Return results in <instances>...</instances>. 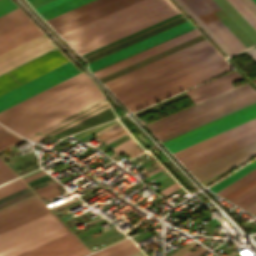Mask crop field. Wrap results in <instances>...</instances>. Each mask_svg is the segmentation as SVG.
<instances>
[{"label": "crop field", "mask_w": 256, "mask_h": 256, "mask_svg": "<svg viewBox=\"0 0 256 256\" xmlns=\"http://www.w3.org/2000/svg\"><path fill=\"white\" fill-rule=\"evenodd\" d=\"M89 253L71 233L19 256H83Z\"/></svg>", "instance_id": "crop-field-14"}, {"label": "crop field", "mask_w": 256, "mask_h": 256, "mask_svg": "<svg viewBox=\"0 0 256 256\" xmlns=\"http://www.w3.org/2000/svg\"><path fill=\"white\" fill-rule=\"evenodd\" d=\"M239 14L256 30V17L239 1L227 0Z\"/></svg>", "instance_id": "crop-field-33"}, {"label": "crop field", "mask_w": 256, "mask_h": 256, "mask_svg": "<svg viewBox=\"0 0 256 256\" xmlns=\"http://www.w3.org/2000/svg\"><path fill=\"white\" fill-rule=\"evenodd\" d=\"M255 101L256 91L247 83L147 123L145 126L163 142Z\"/></svg>", "instance_id": "crop-field-3"}, {"label": "crop field", "mask_w": 256, "mask_h": 256, "mask_svg": "<svg viewBox=\"0 0 256 256\" xmlns=\"http://www.w3.org/2000/svg\"><path fill=\"white\" fill-rule=\"evenodd\" d=\"M77 73L79 71L68 62L21 85L0 96V111ZM58 85L81 109L104 98L92 81L82 72ZM58 85L1 111L0 123L7 126L67 96ZM76 104L69 97H66L8 127L25 138H28L35 132L81 110Z\"/></svg>", "instance_id": "crop-field-1"}, {"label": "crop field", "mask_w": 256, "mask_h": 256, "mask_svg": "<svg viewBox=\"0 0 256 256\" xmlns=\"http://www.w3.org/2000/svg\"><path fill=\"white\" fill-rule=\"evenodd\" d=\"M55 48L43 34L0 55V75Z\"/></svg>", "instance_id": "crop-field-11"}, {"label": "crop field", "mask_w": 256, "mask_h": 256, "mask_svg": "<svg viewBox=\"0 0 256 256\" xmlns=\"http://www.w3.org/2000/svg\"><path fill=\"white\" fill-rule=\"evenodd\" d=\"M167 175H169V174L166 172V173H164V174H162V175H160V176L154 178V179L151 180V181H153V182L155 183L156 181L162 179L163 177H165V176H167ZM163 179H164V178H163Z\"/></svg>", "instance_id": "crop-field-51"}, {"label": "crop field", "mask_w": 256, "mask_h": 256, "mask_svg": "<svg viewBox=\"0 0 256 256\" xmlns=\"http://www.w3.org/2000/svg\"><path fill=\"white\" fill-rule=\"evenodd\" d=\"M246 52L256 61V48H250Z\"/></svg>", "instance_id": "crop-field-49"}, {"label": "crop field", "mask_w": 256, "mask_h": 256, "mask_svg": "<svg viewBox=\"0 0 256 256\" xmlns=\"http://www.w3.org/2000/svg\"><path fill=\"white\" fill-rule=\"evenodd\" d=\"M175 1L227 55H231V53L223 46V44L206 28V26L189 10V8L181 0Z\"/></svg>", "instance_id": "crop-field-31"}, {"label": "crop field", "mask_w": 256, "mask_h": 256, "mask_svg": "<svg viewBox=\"0 0 256 256\" xmlns=\"http://www.w3.org/2000/svg\"><path fill=\"white\" fill-rule=\"evenodd\" d=\"M24 141L21 137L2 127L0 128V151Z\"/></svg>", "instance_id": "crop-field-30"}, {"label": "crop field", "mask_w": 256, "mask_h": 256, "mask_svg": "<svg viewBox=\"0 0 256 256\" xmlns=\"http://www.w3.org/2000/svg\"><path fill=\"white\" fill-rule=\"evenodd\" d=\"M29 20L30 19L18 8L1 16L0 35Z\"/></svg>", "instance_id": "crop-field-26"}, {"label": "crop field", "mask_w": 256, "mask_h": 256, "mask_svg": "<svg viewBox=\"0 0 256 256\" xmlns=\"http://www.w3.org/2000/svg\"><path fill=\"white\" fill-rule=\"evenodd\" d=\"M254 141H256V134H254V135H252L250 137H247V138H245L243 140H240L238 142H235V143H233L231 145H228V146H226L224 148H221V149H219L217 151H214V152H212L210 154H207V155H205L203 157L195 159V160H193L191 162H188V163L184 164V166L188 170H190V169H192L194 167H197V166H199V165H201L203 163H206V162H208L210 160H213V159H215V158H217L219 156H222V155H224L226 153H229V152H231L233 150H236V149H238V148H240L242 146H245V145H247L249 143H252Z\"/></svg>", "instance_id": "crop-field-22"}, {"label": "crop field", "mask_w": 256, "mask_h": 256, "mask_svg": "<svg viewBox=\"0 0 256 256\" xmlns=\"http://www.w3.org/2000/svg\"><path fill=\"white\" fill-rule=\"evenodd\" d=\"M0 127H2V126H0Z\"/></svg>", "instance_id": "crop-field-56"}, {"label": "crop field", "mask_w": 256, "mask_h": 256, "mask_svg": "<svg viewBox=\"0 0 256 256\" xmlns=\"http://www.w3.org/2000/svg\"><path fill=\"white\" fill-rule=\"evenodd\" d=\"M134 142H136V141L132 138V139H130V140L124 142L123 144H121V145H119V146H117V147H115V148H113V149H111V150L116 153V152H118L119 150H121V149L127 147L128 145H130V144H132V143H134Z\"/></svg>", "instance_id": "crop-field-44"}, {"label": "crop field", "mask_w": 256, "mask_h": 256, "mask_svg": "<svg viewBox=\"0 0 256 256\" xmlns=\"http://www.w3.org/2000/svg\"><path fill=\"white\" fill-rule=\"evenodd\" d=\"M222 10L246 33V35L256 44V32L237 13V11L226 0H214Z\"/></svg>", "instance_id": "crop-field-25"}, {"label": "crop field", "mask_w": 256, "mask_h": 256, "mask_svg": "<svg viewBox=\"0 0 256 256\" xmlns=\"http://www.w3.org/2000/svg\"><path fill=\"white\" fill-rule=\"evenodd\" d=\"M89 1H91V0H69V1H67V2H65L63 4H60V5L56 6V7H53L51 9L47 10V11H44V12L40 13V15L45 20H47V19H49L51 17H54V16H56L58 14H61V13L65 12V11L73 9V8H75L77 6H80V5L84 4V3H87Z\"/></svg>", "instance_id": "crop-field-28"}, {"label": "crop field", "mask_w": 256, "mask_h": 256, "mask_svg": "<svg viewBox=\"0 0 256 256\" xmlns=\"http://www.w3.org/2000/svg\"><path fill=\"white\" fill-rule=\"evenodd\" d=\"M37 201H39V199H37V200H35L33 202H30V203H28V204H26L24 206H21V207H19L17 209H14V210H12L10 212H7V213L1 215L0 217H2L4 215H7V214H9L11 212H14V211H16L18 209H21V208H23L25 206H28V205H30L32 203H35ZM44 208H46V206L41 201H39V202H37L35 204H32V205H30L28 207H25V208L21 209V210H18V211L14 212V213H11V214L7 215V216H4V217L0 218V227H3L5 225H7V224H10V223H12V222H14L16 220H19V219H21L23 217H26V216H28L30 214H33V213H35V212H37L39 210L44 209Z\"/></svg>", "instance_id": "crop-field-24"}, {"label": "crop field", "mask_w": 256, "mask_h": 256, "mask_svg": "<svg viewBox=\"0 0 256 256\" xmlns=\"http://www.w3.org/2000/svg\"><path fill=\"white\" fill-rule=\"evenodd\" d=\"M189 24L190 23L186 21L182 24H179L175 27H172L147 39L137 42L131 46H128L124 49H121L117 52H114L110 55L93 61L88 64L90 71L193 28V26L191 24L189 26Z\"/></svg>", "instance_id": "crop-field-13"}, {"label": "crop field", "mask_w": 256, "mask_h": 256, "mask_svg": "<svg viewBox=\"0 0 256 256\" xmlns=\"http://www.w3.org/2000/svg\"><path fill=\"white\" fill-rule=\"evenodd\" d=\"M42 34L31 22H27L0 36V54Z\"/></svg>", "instance_id": "crop-field-18"}, {"label": "crop field", "mask_w": 256, "mask_h": 256, "mask_svg": "<svg viewBox=\"0 0 256 256\" xmlns=\"http://www.w3.org/2000/svg\"><path fill=\"white\" fill-rule=\"evenodd\" d=\"M3 166H5V164L0 159V168ZM14 177H16V175L7 166L0 169V183L5 182Z\"/></svg>", "instance_id": "crop-field-34"}, {"label": "crop field", "mask_w": 256, "mask_h": 256, "mask_svg": "<svg viewBox=\"0 0 256 256\" xmlns=\"http://www.w3.org/2000/svg\"><path fill=\"white\" fill-rule=\"evenodd\" d=\"M253 131H256V126L255 127H253V128H251V129H248V130H246V131H244V132H241V133H239V134H237V135H234V136H232V137H230V138H227V139H225V140H223V141H220V142H218V143H216V144H213V145H211V146H209V147H206V148H204V149H202V150H200V151H197V152H195V153H193V154H190V155H188V156H186V157H183V158H181V159H179V161L181 162V163H183V162H185V161H187V160H189V159H192V158H194V157H196V156H199V155H201V154H203V153H205V152H208V151H210V150H212V149H215V148H217V147H219V146H221V145H224V144H226V143H228V142H231V141H233V140H235V139H237V138H240V137H242V136H244V135H247V134H249V133H251V132H253ZM254 133H256V132H254ZM251 134H253V133H251ZM251 134H249V135H251ZM249 135H247V136H249ZM244 137H246V136H244ZM244 137H242V138H244ZM242 138H240V139H242ZM239 140V139H238ZM235 141H237V140H235ZM235 141H233V142H235ZM232 143V142H231ZM228 144H230V143H228ZM228 144H226V145H228ZM225 146V145H224ZM223 147V146H222ZM219 148H221V147H219ZM218 149V148H217ZM216 150V149H215ZM212 151H214V150H212ZM211 152V151H210ZM209 153V152H208ZM207 154V153H206ZM203 155H205V154H203ZM202 156V155H201ZM200 157V156H199ZM196 158H198V157H196ZM195 159V158H194ZM193 160V159H192ZM191 161V160H190ZM188 162V161H187ZM186 163V162H185ZM184 164V163H183Z\"/></svg>", "instance_id": "crop-field-27"}, {"label": "crop field", "mask_w": 256, "mask_h": 256, "mask_svg": "<svg viewBox=\"0 0 256 256\" xmlns=\"http://www.w3.org/2000/svg\"><path fill=\"white\" fill-rule=\"evenodd\" d=\"M255 191H256V185L251 187L250 189H248L244 193L240 194L236 198L232 199L230 202L235 204V203L239 202L240 200H242L243 198L247 197L248 195H250L251 193H253Z\"/></svg>", "instance_id": "crop-field-42"}, {"label": "crop field", "mask_w": 256, "mask_h": 256, "mask_svg": "<svg viewBox=\"0 0 256 256\" xmlns=\"http://www.w3.org/2000/svg\"><path fill=\"white\" fill-rule=\"evenodd\" d=\"M77 200H79L77 197H75V198H73V199H71V200H68V201H66V202H63V203H61V204H59V205H56V206H54V207H52V209H53V211H55V210H57V209H59V208H61V207H64V206H66V205H68V204H70V203H73V202H75V201H77Z\"/></svg>", "instance_id": "crop-field-47"}, {"label": "crop field", "mask_w": 256, "mask_h": 256, "mask_svg": "<svg viewBox=\"0 0 256 256\" xmlns=\"http://www.w3.org/2000/svg\"><path fill=\"white\" fill-rule=\"evenodd\" d=\"M35 199H37L36 195H34V196L30 197V198H27V199H25V200H23L21 202H18V203L14 204V205H11V206H9L7 208H4V209L0 210V215L5 213V212H7V211H10V210H12L14 208H17V207H19L21 205H24V204H26V203H28L30 201H33Z\"/></svg>", "instance_id": "crop-field-38"}, {"label": "crop field", "mask_w": 256, "mask_h": 256, "mask_svg": "<svg viewBox=\"0 0 256 256\" xmlns=\"http://www.w3.org/2000/svg\"><path fill=\"white\" fill-rule=\"evenodd\" d=\"M62 192L57 188V187H55V188H53V189H51V190H48V191H46V192H43V193H41V194H39V196L41 197V198H45L46 200H48V199H50V198H52V197H55V196H57V195H59V194H61Z\"/></svg>", "instance_id": "crop-field-40"}, {"label": "crop field", "mask_w": 256, "mask_h": 256, "mask_svg": "<svg viewBox=\"0 0 256 256\" xmlns=\"http://www.w3.org/2000/svg\"><path fill=\"white\" fill-rule=\"evenodd\" d=\"M255 167H256V159L254 161L250 162L249 164H247L246 166L242 167L238 171L234 172L230 176L226 177L222 181L211 186V188H210L211 191L214 193L217 192L218 190L222 189L223 187H225L226 185L233 182L234 180H236L237 178L244 175L245 173H247L248 171H250L251 169H253Z\"/></svg>", "instance_id": "crop-field-29"}, {"label": "crop field", "mask_w": 256, "mask_h": 256, "mask_svg": "<svg viewBox=\"0 0 256 256\" xmlns=\"http://www.w3.org/2000/svg\"><path fill=\"white\" fill-rule=\"evenodd\" d=\"M254 117H256V107H254V108H252L250 110H247V111H245V112H243L241 114H238V115H236V116H234L232 118H229V119H227L225 121H222V122H220L218 124L210 126V127L206 128V129H203V130H201L199 132H196V133H194L192 135H189V136H187L185 138H182V139L177 140V141H175L173 143H170V144L166 145V147L168 148V150L171 153H173V152H175L177 150H180V149H182L184 147H187V146H189L191 144H194V143H196V142H198L200 140H203V139H205L207 137H210V136H212L214 134H217V133H219L221 131H224V130H226L228 128H231V127H233L235 125H238V124H240L242 122H245V121H247V120H249L251 118H254Z\"/></svg>", "instance_id": "crop-field-15"}, {"label": "crop field", "mask_w": 256, "mask_h": 256, "mask_svg": "<svg viewBox=\"0 0 256 256\" xmlns=\"http://www.w3.org/2000/svg\"><path fill=\"white\" fill-rule=\"evenodd\" d=\"M136 144H138V143L136 142V143H134V144L130 145L129 147H127V148L123 149L122 151H120V152H118V153H116V154H114V155H112V156H110V157L112 158V157H114V156L118 155L119 153H121V152H123V151H125V150H127V149H129V148H131V147H133V146H135Z\"/></svg>", "instance_id": "crop-field-52"}, {"label": "crop field", "mask_w": 256, "mask_h": 256, "mask_svg": "<svg viewBox=\"0 0 256 256\" xmlns=\"http://www.w3.org/2000/svg\"><path fill=\"white\" fill-rule=\"evenodd\" d=\"M177 13L169 0H141L61 37L81 55Z\"/></svg>", "instance_id": "crop-field-2"}, {"label": "crop field", "mask_w": 256, "mask_h": 256, "mask_svg": "<svg viewBox=\"0 0 256 256\" xmlns=\"http://www.w3.org/2000/svg\"><path fill=\"white\" fill-rule=\"evenodd\" d=\"M65 1H67V0H54V1L50 2V3H47V4L43 5V6H40V7L36 8V10H37L38 13H40V12H42L44 10H47V9L53 7V6H56V5L60 4V3L65 2Z\"/></svg>", "instance_id": "crop-field-41"}, {"label": "crop field", "mask_w": 256, "mask_h": 256, "mask_svg": "<svg viewBox=\"0 0 256 256\" xmlns=\"http://www.w3.org/2000/svg\"><path fill=\"white\" fill-rule=\"evenodd\" d=\"M139 0H94L47 20L59 34L107 15Z\"/></svg>", "instance_id": "crop-field-8"}, {"label": "crop field", "mask_w": 256, "mask_h": 256, "mask_svg": "<svg viewBox=\"0 0 256 256\" xmlns=\"http://www.w3.org/2000/svg\"><path fill=\"white\" fill-rule=\"evenodd\" d=\"M26 187L19 179L0 186V198ZM33 194L28 187L0 199V208Z\"/></svg>", "instance_id": "crop-field-21"}, {"label": "crop field", "mask_w": 256, "mask_h": 256, "mask_svg": "<svg viewBox=\"0 0 256 256\" xmlns=\"http://www.w3.org/2000/svg\"><path fill=\"white\" fill-rule=\"evenodd\" d=\"M242 78L235 71L205 83L201 86L186 91L187 95L193 101L194 104L207 99L213 95H216L224 90H227L233 85L231 83Z\"/></svg>", "instance_id": "crop-field-17"}, {"label": "crop field", "mask_w": 256, "mask_h": 256, "mask_svg": "<svg viewBox=\"0 0 256 256\" xmlns=\"http://www.w3.org/2000/svg\"><path fill=\"white\" fill-rule=\"evenodd\" d=\"M241 1L256 16V4L252 0H241Z\"/></svg>", "instance_id": "crop-field-43"}, {"label": "crop field", "mask_w": 256, "mask_h": 256, "mask_svg": "<svg viewBox=\"0 0 256 256\" xmlns=\"http://www.w3.org/2000/svg\"><path fill=\"white\" fill-rule=\"evenodd\" d=\"M256 184V178L253 179L252 181L248 182L247 184H245L244 186L240 187L239 189H237L236 191L232 192L231 194H229L228 196L224 197L225 199H227L228 201L231 200L232 198L236 197L237 195H239L240 193L244 192L245 190H247L248 188H250L251 186Z\"/></svg>", "instance_id": "crop-field-36"}, {"label": "crop field", "mask_w": 256, "mask_h": 256, "mask_svg": "<svg viewBox=\"0 0 256 256\" xmlns=\"http://www.w3.org/2000/svg\"><path fill=\"white\" fill-rule=\"evenodd\" d=\"M69 233L50 212L0 234V256H16Z\"/></svg>", "instance_id": "crop-field-5"}, {"label": "crop field", "mask_w": 256, "mask_h": 256, "mask_svg": "<svg viewBox=\"0 0 256 256\" xmlns=\"http://www.w3.org/2000/svg\"><path fill=\"white\" fill-rule=\"evenodd\" d=\"M244 210L248 211L251 214H256V201L252 202L251 204L247 205L243 208Z\"/></svg>", "instance_id": "crop-field-46"}, {"label": "crop field", "mask_w": 256, "mask_h": 256, "mask_svg": "<svg viewBox=\"0 0 256 256\" xmlns=\"http://www.w3.org/2000/svg\"><path fill=\"white\" fill-rule=\"evenodd\" d=\"M256 216V215H255Z\"/></svg>", "instance_id": "crop-field-57"}, {"label": "crop field", "mask_w": 256, "mask_h": 256, "mask_svg": "<svg viewBox=\"0 0 256 256\" xmlns=\"http://www.w3.org/2000/svg\"><path fill=\"white\" fill-rule=\"evenodd\" d=\"M179 188H181V187L179 186V187H177V188H175V189H173V190L169 191L168 193H166V194L162 195V197H163V196H165V195H167V194H169V193H171V192H173V191H175V190H177V189H179Z\"/></svg>", "instance_id": "crop-field-53"}, {"label": "crop field", "mask_w": 256, "mask_h": 256, "mask_svg": "<svg viewBox=\"0 0 256 256\" xmlns=\"http://www.w3.org/2000/svg\"><path fill=\"white\" fill-rule=\"evenodd\" d=\"M231 68L232 67L224 59H221L197 71H194L167 84L143 93L137 97L127 100L123 102V104L131 112H134L140 108L159 101L165 97H168Z\"/></svg>", "instance_id": "crop-field-7"}, {"label": "crop field", "mask_w": 256, "mask_h": 256, "mask_svg": "<svg viewBox=\"0 0 256 256\" xmlns=\"http://www.w3.org/2000/svg\"><path fill=\"white\" fill-rule=\"evenodd\" d=\"M126 133H128V132H127V131H124V132H122V133H120V134H118V135H116V136H114V137H112V138H110V139H108V140L102 142V143H104V144L106 145V144H108L110 141H112V140H114V139H116V138H118V137H120V136H122V135H124V134H126Z\"/></svg>", "instance_id": "crop-field-50"}, {"label": "crop field", "mask_w": 256, "mask_h": 256, "mask_svg": "<svg viewBox=\"0 0 256 256\" xmlns=\"http://www.w3.org/2000/svg\"><path fill=\"white\" fill-rule=\"evenodd\" d=\"M254 106H256V104H254V105H252V106H249V107H247V108H244V109H242V110H240V111H237V112H235V113H233V114H231V115H228V116H226V117H224V118H222V119H219V120H217V121H214V122H212V123H210V124H207V125H205V126H202V127L198 128V129H195V130H193V131H190V132H188V133H186V134H184V135H181V136H179V137H177V138H175V139H173V140H170V141L164 143V145H166V144H168V143H170V142H173V141H175V140H177V139H180V138H182V137H184V136H187V135H189V134H191V133H193V132H196V131H198V130H200V129H203V128L207 127V126H210V125H212V124H214V123H217V122H219V121H221V120H224V119H226V118H228V117H231V116H233V115H235V114H238V113H240V112H242V111H244V110H247V109H249V108H251V107H254Z\"/></svg>", "instance_id": "crop-field-35"}, {"label": "crop field", "mask_w": 256, "mask_h": 256, "mask_svg": "<svg viewBox=\"0 0 256 256\" xmlns=\"http://www.w3.org/2000/svg\"><path fill=\"white\" fill-rule=\"evenodd\" d=\"M255 125H256V118L251 119V120H249V121H247L245 123H242V124H240L238 126H235V127L231 128V129H228V130H226L224 132H221V133H219L217 135H214V136H212L210 138H207V139H205L203 141H200V142H198V143H196L194 145H191V146H189L187 148H184V149H182L180 151H177V152L173 153V155L177 159H179V158H181L183 156H186V155H188L190 153H193V152H195L197 150H200V149H202V148H204L206 146H209V145H211L213 143H216V142H218L220 140H223V139H225L227 137H230V136H232L234 134H237V133H239L241 131H244V130H246L248 128H251V127H253Z\"/></svg>", "instance_id": "crop-field-20"}, {"label": "crop field", "mask_w": 256, "mask_h": 256, "mask_svg": "<svg viewBox=\"0 0 256 256\" xmlns=\"http://www.w3.org/2000/svg\"><path fill=\"white\" fill-rule=\"evenodd\" d=\"M184 21H186V19L184 18V16L181 13H179V14H177L175 16H172V17H170L168 19H165V20H163L161 22L153 24V25H151L149 27H146V28H144L142 30H139V31H137L135 33H132V34H130L128 36H125V37H123L121 39H118V40H116L114 42H111V43H109L107 45H104V46L99 47V48H97L95 50H92V51H90L88 53H85V54L81 55V57L84 58L87 61V63H88V62H90L92 60H95V59H97L99 57H102V56H104L106 54L114 52V51H116L118 49H121V48H123L125 46H128V45H130L132 43H135V42H137L139 40H142V39H144L146 37H149V36H151L153 34H156V33L160 32V31L168 29V28H170L172 26H175V25H177L179 23H182Z\"/></svg>", "instance_id": "crop-field-10"}, {"label": "crop field", "mask_w": 256, "mask_h": 256, "mask_svg": "<svg viewBox=\"0 0 256 256\" xmlns=\"http://www.w3.org/2000/svg\"><path fill=\"white\" fill-rule=\"evenodd\" d=\"M110 108L105 99L37 132L40 134H46V135H51L55 136L58 133L92 117L95 116L106 109Z\"/></svg>", "instance_id": "crop-field-16"}, {"label": "crop field", "mask_w": 256, "mask_h": 256, "mask_svg": "<svg viewBox=\"0 0 256 256\" xmlns=\"http://www.w3.org/2000/svg\"><path fill=\"white\" fill-rule=\"evenodd\" d=\"M221 58L223 57L211 44H209L196 51L113 86L109 88V90L121 102H123L136 95L213 63Z\"/></svg>", "instance_id": "crop-field-4"}, {"label": "crop field", "mask_w": 256, "mask_h": 256, "mask_svg": "<svg viewBox=\"0 0 256 256\" xmlns=\"http://www.w3.org/2000/svg\"><path fill=\"white\" fill-rule=\"evenodd\" d=\"M190 252H192V251H187L186 253H184L183 255H181V256H186L187 254H189Z\"/></svg>", "instance_id": "crop-field-54"}, {"label": "crop field", "mask_w": 256, "mask_h": 256, "mask_svg": "<svg viewBox=\"0 0 256 256\" xmlns=\"http://www.w3.org/2000/svg\"><path fill=\"white\" fill-rule=\"evenodd\" d=\"M178 185H180V184H178V183L176 182V183H174V184H172V185H170V186H168V187H166V188H164V189H162V190H160V191H158V192H159L160 194H163V193H165V192H167V191L173 189L174 187H176V186H178Z\"/></svg>", "instance_id": "crop-field-48"}, {"label": "crop field", "mask_w": 256, "mask_h": 256, "mask_svg": "<svg viewBox=\"0 0 256 256\" xmlns=\"http://www.w3.org/2000/svg\"><path fill=\"white\" fill-rule=\"evenodd\" d=\"M122 130H124V129H123L122 126L120 125V126H118L117 128H115V129H113V130H111V131L108 130V131L102 133L101 135H99V136H97V137L100 138V139L103 141V140H105V139H107V138H109V137H111V136H113V135H115V134L121 132Z\"/></svg>", "instance_id": "crop-field-39"}, {"label": "crop field", "mask_w": 256, "mask_h": 256, "mask_svg": "<svg viewBox=\"0 0 256 256\" xmlns=\"http://www.w3.org/2000/svg\"><path fill=\"white\" fill-rule=\"evenodd\" d=\"M190 10L207 26V28L224 44L232 53L248 48L254 43L243 33V31L222 11L213 0H182ZM220 10L218 12H215ZM231 30L229 29L218 19Z\"/></svg>", "instance_id": "crop-field-6"}, {"label": "crop field", "mask_w": 256, "mask_h": 256, "mask_svg": "<svg viewBox=\"0 0 256 256\" xmlns=\"http://www.w3.org/2000/svg\"><path fill=\"white\" fill-rule=\"evenodd\" d=\"M132 244V242L129 240V239H125L121 242H118L114 245H111L107 248H104L100 251H97L93 254H90L88 256H105L109 253H112L116 250H119L125 246H128ZM107 256H145L134 244L128 246V247H125L119 251H116L112 254H109Z\"/></svg>", "instance_id": "crop-field-23"}, {"label": "crop field", "mask_w": 256, "mask_h": 256, "mask_svg": "<svg viewBox=\"0 0 256 256\" xmlns=\"http://www.w3.org/2000/svg\"><path fill=\"white\" fill-rule=\"evenodd\" d=\"M57 49H53L0 76V95L67 62Z\"/></svg>", "instance_id": "crop-field-9"}, {"label": "crop field", "mask_w": 256, "mask_h": 256, "mask_svg": "<svg viewBox=\"0 0 256 256\" xmlns=\"http://www.w3.org/2000/svg\"><path fill=\"white\" fill-rule=\"evenodd\" d=\"M207 44H209V42L206 39H204V40H202L200 42H197V43H195V44H193L191 46H188V47H186L184 49H181V50H179V51H177L175 53H172V54H170L168 56H165V57H163V58H161L159 60H156V61H154L152 63H149V64H147V65H145L143 67H140V68H138L136 70H133V71H131V72L127 73V74H124V75H122L120 77H117V78H115V79H113L111 81H108V82L104 83V85L107 88H109V87H111L113 85H116V84H118V83H120L122 81H125V80H127L129 78H132V77H134V76H136L138 74H141V73H143L145 71H148V70H150V69H152L154 67H157V66H159L161 64H164V63H166V62H168L170 60H173V59H175L177 57H180V56H182V55H184L186 53H189V52H191L193 50H196V49H198V48H200L202 46H205Z\"/></svg>", "instance_id": "crop-field-19"}, {"label": "crop field", "mask_w": 256, "mask_h": 256, "mask_svg": "<svg viewBox=\"0 0 256 256\" xmlns=\"http://www.w3.org/2000/svg\"><path fill=\"white\" fill-rule=\"evenodd\" d=\"M16 8L11 0H0V15Z\"/></svg>", "instance_id": "crop-field-37"}, {"label": "crop field", "mask_w": 256, "mask_h": 256, "mask_svg": "<svg viewBox=\"0 0 256 256\" xmlns=\"http://www.w3.org/2000/svg\"><path fill=\"white\" fill-rule=\"evenodd\" d=\"M43 174H45V172L43 170H41V171H39L37 173H34V174L30 175V176H27V177L23 178V180H24L25 183H27V182H29V181H31V180H33V179L43 175Z\"/></svg>", "instance_id": "crop-field-45"}, {"label": "crop field", "mask_w": 256, "mask_h": 256, "mask_svg": "<svg viewBox=\"0 0 256 256\" xmlns=\"http://www.w3.org/2000/svg\"><path fill=\"white\" fill-rule=\"evenodd\" d=\"M255 177H256V168L250 171L249 173H247L246 175L242 176L241 178H239L238 180H236L226 188L222 189L217 194L224 197Z\"/></svg>", "instance_id": "crop-field-32"}, {"label": "crop field", "mask_w": 256, "mask_h": 256, "mask_svg": "<svg viewBox=\"0 0 256 256\" xmlns=\"http://www.w3.org/2000/svg\"><path fill=\"white\" fill-rule=\"evenodd\" d=\"M254 154H256V142L194 168L190 173L201 182L238 166Z\"/></svg>", "instance_id": "crop-field-12"}, {"label": "crop field", "mask_w": 256, "mask_h": 256, "mask_svg": "<svg viewBox=\"0 0 256 256\" xmlns=\"http://www.w3.org/2000/svg\"><path fill=\"white\" fill-rule=\"evenodd\" d=\"M256 3V0H253Z\"/></svg>", "instance_id": "crop-field-55"}]
</instances>
